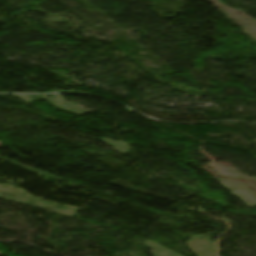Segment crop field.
Masks as SVG:
<instances>
[{
	"mask_svg": "<svg viewBox=\"0 0 256 256\" xmlns=\"http://www.w3.org/2000/svg\"><path fill=\"white\" fill-rule=\"evenodd\" d=\"M0 148H1V143H0Z\"/></svg>",
	"mask_w": 256,
	"mask_h": 256,
	"instance_id": "1",
	"label": "crop field"
}]
</instances>
